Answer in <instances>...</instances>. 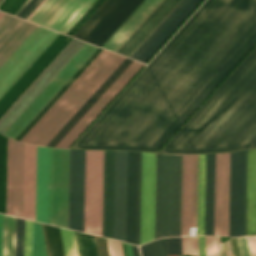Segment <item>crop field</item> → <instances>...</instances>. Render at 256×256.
I'll list each match as a JSON object with an SVG mask.
<instances>
[{"mask_svg": "<svg viewBox=\"0 0 256 256\" xmlns=\"http://www.w3.org/2000/svg\"><path fill=\"white\" fill-rule=\"evenodd\" d=\"M122 245H123V249H124L125 256H128V251H127V246H126V244L122 243Z\"/></svg>", "mask_w": 256, "mask_h": 256, "instance_id": "62", "label": "crop field"}, {"mask_svg": "<svg viewBox=\"0 0 256 256\" xmlns=\"http://www.w3.org/2000/svg\"><path fill=\"white\" fill-rule=\"evenodd\" d=\"M27 0H4L0 10L14 15Z\"/></svg>", "mask_w": 256, "mask_h": 256, "instance_id": "47", "label": "crop field"}, {"mask_svg": "<svg viewBox=\"0 0 256 256\" xmlns=\"http://www.w3.org/2000/svg\"><path fill=\"white\" fill-rule=\"evenodd\" d=\"M132 246V245H131ZM134 256H140L138 247L132 246Z\"/></svg>", "mask_w": 256, "mask_h": 256, "instance_id": "60", "label": "crop field"}, {"mask_svg": "<svg viewBox=\"0 0 256 256\" xmlns=\"http://www.w3.org/2000/svg\"><path fill=\"white\" fill-rule=\"evenodd\" d=\"M32 256H47L42 227L33 223Z\"/></svg>", "mask_w": 256, "mask_h": 256, "instance_id": "40", "label": "crop field"}, {"mask_svg": "<svg viewBox=\"0 0 256 256\" xmlns=\"http://www.w3.org/2000/svg\"><path fill=\"white\" fill-rule=\"evenodd\" d=\"M42 0H30V2L21 10L17 17L26 19L30 13L41 3Z\"/></svg>", "mask_w": 256, "mask_h": 256, "instance_id": "52", "label": "crop field"}, {"mask_svg": "<svg viewBox=\"0 0 256 256\" xmlns=\"http://www.w3.org/2000/svg\"><path fill=\"white\" fill-rule=\"evenodd\" d=\"M169 254H182L181 237L169 238Z\"/></svg>", "mask_w": 256, "mask_h": 256, "instance_id": "53", "label": "crop field"}, {"mask_svg": "<svg viewBox=\"0 0 256 256\" xmlns=\"http://www.w3.org/2000/svg\"><path fill=\"white\" fill-rule=\"evenodd\" d=\"M256 148V47L160 151Z\"/></svg>", "mask_w": 256, "mask_h": 256, "instance_id": "2", "label": "crop field"}, {"mask_svg": "<svg viewBox=\"0 0 256 256\" xmlns=\"http://www.w3.org/2000/svg\"><path fill=\"white\" fill-rule=\"evenodd\" d=\"M51 256H65L60 230L58 227L46 225Z\"/></svg>", "mask_w": 256, "mask_h": 256, "instance_id": "39", "label": "crop field"}, {"mask_svg": "<svg viewBox=\"0 0 256 256\" xmlns=\"http://www.w3.org/2000/svg\"><path fill=\"white\" fill-rule=\"evenodd\" d=\"M256 234V149L248 150L246 235Z\"/></svg>", "mask_w": 256, "mask_h": 256, "instance_id": "29", "label": "crop field"}, {"mask_svg": "<svg viewBox=\"0 0 256 256\" xmlns=\"http://www.w3.org/2000/svg\"><path fill=\"white\" fill-rule=\"evenodd\" d=\"M84 42L73 39L68 46L56 57V59L44 70L33 84L21 95V97L0 118V133L17 118L27 105L38 95L48 82L59 72L69 59L80 49Z\"/></svg>", "mask_w": 256, "mask_h": 256, "instance_id": "9", "label": "crop field"}, {"mask_svg": "<svg viewBox=\"0 0 256 256\" xmlns=\"http://www.w3.org/2000/svg\"><path fill=\"white\" fill-rule=\"evenodd\" d=\"M36 146L25 143L23 218L35 220Z\"/></svg>", "mask_w": 256, "mask_h": 256, "instance_id": "23", "label": "crop field"}, {"mask_svg": "<svg viewBox=\"0 0 256 256\" xmlns=\"http://www.w3.org/2000/svg\"><path fill=\"white\" fill-rule=\"evenodd\" d=\"M46 31L47 29L38 26L33 31V33L22 43V45L10 56V58L0 67V82Z\"/></svg>", "mask_w": 256, "mask_h": 256, "instance_id": "32", "label": "crop field"}, {"mask_svg": "<svg viewBox=\"0 0 256 256\" xmlns=\"http://www.w3.org/2000/svg\"><path fill=\"white\" fill-rule=\"evenodd\" d=\"M247 150L230 153L228 236L245 235Z\"/></svg>", "mask_w": 256, "mask_h": 256, "instance_id": "6", "label": "crop field"}, {"mask_svg": "<svg viewBox=\"0 0 256 256\" xmlns=\"http://www.w3.org/2000/svg\"><path fill=\"white\" fill-rule=\"evenodd\" d=\"M24 143L8 138L6 214L22 218Z\"/></svg>", "mask_w": 256, "mask_h": 256, "instance_id": "12", "label": "crop field"}, {"mask_svg": "<svg viewBox=\"0 0 256 256\" xmlns=\"http://www.w3.org/2000/svg\"><path fill=\"white\" fill-rule=\"evenodd\" d=\"M114 151H104L102 236L112 238Z\"/></svg>", "mask_w": 256, "mask_h": 256, "instance_id": "24", "label": "crop field"}, {"mask_svg": "<svg viewBox=\"0 0 256 256\" xmlns=\"http://www.w3.org/2000/svg\"><path fill=\"white\" fill-rule=\"evenodd\" d=\"M103 151H86L84 232L101 236Z\"/></svg>", "mask_w": 256, "mask_h": 256, "instance_id": "7", "label": "crop field"}, {"mask_svg": "<svg viewBox=\"0 0 256 256\" xmlns=\"http://www.w3.org/2000/svg\"><path fill=\"white\" fill-rule=\"evenodd\" d=\"M74 0H46L29 21L49 28ZM96 0H75L50 29L66 34Z\"/></svg>", "mask_w": 256, "mask_h": 256, "instance_id": "8", "label": "crop field"}, {"mask_svg": "<svg viewBox=\"0 0 256 256\" xmlns=\"http://www.w3.org/2000/svg\"><path fill=\"white\" fill-rule=\"evenodd\" d=\"M101 2V0H97L91 7L90 9L80 18V20L71 28V30L67 33L68 35H70L74 30L75 28L88 16V14ZM91 14V13H90ZM89 14V15H90ZM80 26V25H79ZM78 26V27H79ZM77 27V28H78ZM76 28V29H77Z\"/></svg>", "mask_w": 256, "mask_h": 256, "instance_id": "56", "label": "crop field"}, {"mask_svg": "<svg viewBox=\"0 0 256 256\" xmlns=\"http://www.w3.org/2000/svg\"><path fill=\"white\" fill-rule=\"evenodd\" d=\"M229 153L216 154L214 235L227 236Z\"/></svg>", "mask_w": 256, "mask_h": 256, "instance_id": "16", "label": "crop field"}, {"mask_svg": "<svg viewBox=\"0 0 256 256\" xmlns=\"http://www.w3.org/2000/svg\"><path fill=\"white\" fill-rule=\"evenodd\" d=\"M52 148H49L47 223L50 224Z\"/></svg>", "mask_w": 256, "mask_h": 256, "instance_id": "50", "label": "crop field"}, {"mask_svg": "<svg viewBox=\"0 0 256 256\" xmlns=\"http://www.w3.org/2000/svg\"><path fill=\"white\" fill-rule=\"evenodd\" d=\"M142 66L133 61L56 147L68 148Z\"/></svg>", "mask_w": 256, "mask_h": 256, "instance_id": "15", "label": "crop field"}, {"mask_svg": "<svg viewBox=\"0 0 256 256\" xmlns=\"http://www.w3.org/2000/svg\"><path fill=\"white\" fill-rule=\"evenodd\" d=\"M191 0H186L183 5L172 15V17L161 27V29L150 39V41L133 58L137 60L142 53L153 43V41L164 31V29L175 19V17L187 6Z\"/></svg>", "mask_w": 256, "mask_h": 256, "instance_id": "44", "label": "crop field"}, {"mask_svg": "<svg viewBox=\"0 0 256 256\" xmlns=\"http://www.w3.org/2000/svg\"><path fill=\"white\" fill-rule=\"evenodd\" d=\"M3 15H4V13H1V12H0V18H1Z\"/></svg>", "mask_w": 256, "mask_h": 256, "instance_id": "65", "label": "crop field"}, {"mask_svg": "<svg viewBox=\"0 0 256 256\" xmlns=\"http://www.w3.org/2000/svg\"><path fill=\"white\" fill-rule=\"evenodd\" d=\"M182 155L157 154L155 239L180 235Z\"/></svg>", "mask_w": 256, "mask_h": 256, "instance_id": "4", "label": "crop field"}, {"mask_svg": "<svg viewBox=\"0 0 256 256\" xmlns=\"http://www.w3.org/2000/svg\"><path fill=\"white\" fill-rule=\"evenodd\" d=\"M102 51L98 48L94 54L83 64V66L73 75V77L62 87V89L52 98V100L41 110V112L31 121V123L16 138L21 140L22 137L33 127V125L43 116V114L54 104V102L65 92V90L75 81V79L86 69V67L97 57Z\"/></svg>", "mask_w": 256, "mask_h": 256, "instance_id": "35", "label": "crop field"}, {"mask_svg": "<svg viewBox=\"0 0 256 256\" xmlns=\"http://www.w3.org/2000/svg\"><path fill=\"white\" fill-rule=\"evenodd\" d=\"M48 148L37 146L36 220L46 223Z\"/></svg>", "mask_w": 256, "mask_h": 256, "instance_id": "27", "label": "crop field"}, {"mask_svg": "<svg viewBox=\"0 0 256 256\" xmlns=\"http://www.w3.org/2000/svg\"><path fill=\"white\" fill-rule=\"evenodd\" d=\"M160 1L161 0H144L106 41L102 48L115 52Z\"/></svg>", "mask_w": 256, "mask_h": 256, "instance_id": "21", "label": "crop field"}, {"mask_svg": "<svg viewBox=\"0 0 256 256\" xmlns=\"http://www.w3.org/2000/svg\"><path fill=\"white\" fill-rule=\"evenodd\" d=\"M25 220L17 218L16 256H24Z\"/></svg>", "mask_w": 256, "mask_h": 256, "instance_id": "43", "label": "crop field"}, {"mask_svg": "<svg viewBox=\"0 0 256 256\" xmlns=\"http://www.w3.org/2000/svg\"><path fill=\"white\" fill-rule=\"evenodd\" d=\"M185 0H182L174 10L164 19V21L154 30V32L145 40V42L135 51V53L131 56L133 58L138 51L149 41V39L160 29V27L171 17V15L182 5Z\"/></svg>", "mask_w": 256, "mask_h": 256, "instance_id": "55", "label": "crop field"}, {"mask_svg": "<svg viewBox=\"0 0 256 256\" xmlns=\"http://www.w3.org/2000/svg\"><path fill=\"white\" fill-rule=\"evenodd\" d=\"M248 238H249L252 254H253V256H256L254 246H253V242H252V238H253L254 245H255V248H256V236H254L252 238L251 237H248ZM236 240H237V238H236ZM238 240H239V244H240V248H241L243 256H251L246 238L242 237V238H238ZM238 240H237V244H238ZM239 244H238V247H239ZM241 251H240V256H242Z\"/></svg>", "mask_w": 256, "mask_h": 256, "instance_id": "48", "label": "crop field"}, {"mask_svg": "<svg viewBox=\"0 0 256 256\" xmlns=\"http://www.w3.org/2000/svg\"><path fill=\"white\" fill-rule=\"evenodd\" d=\"M70 37L59 34L25 73L14 83V85L0 99V115L45 67V65L66 44Z\"/></svg>", "mask_w": 256, "mask_h": 256, "instance_id": "18", "label": "crop field"}, {"mask_svg": "<svg viewBox=\"0 0 256 256\" xmlns=\"http://www.w3.org/2000/svg\"><path fill=\"white\" fill-rule=\"evenodd\" d=\"M69 150L53 148L51 224L67 228Z\"/></svg>", "mask_w": 256, "mask_h": 256, "instance_id": "11", "label": "crop field"}, {"mask_svg": "<svg viewBox=\"0 0 256 256\" xmlns=\"http://www.w3.org/2000/svg\"><path fill=\"white\" fill-rule=\"evenodd\" d=\"M61 235L63 239L66 256H78L74 233L71 230L62 229Z\"/></svg>", "mask_w": 256, "mask_h": 256, "instance_id": "41", "label": "crop field"}, {"mask_svg": "<svg viewBox=\"0 0 256 256\" xmlns=\"http://www.w3.org/2000/svg\"><path fill=\"white\" fill-rule=\"evenodd\" d=\"M96 49L85 43L3 134L15 139Z\"/></svg>", "mask_w": 256, "mask_h": 256, "instance_id": "5", "label": "crop field"}, {"mask_svg": "<svg viewBox=\"0 0 256 256\" xmlns=\"http://www.w3.org/2000/svg\"><path fill=\"white\" fill-rule=\"evenodd\" d=\"M29 1V0H28ZM28 1L19 9V11L28 3ZM18 11V12H19ZM18 12L15 14V16L18 14Z\"/></svg>", "mask_w": 256, "mask_h": 256, "instance_id": "64", "label": "crop field"}, {"mask_svg": "<svg viewBox=\"0 0 256 256\" xmlns=\"http://www.w3.org/2000/svg\"><path fill=\"white\" fill-rule=\"evenodd\" d=\"M127 246H128L129 255H130V256H133V254H132V250H131V246H130V245H128V244H127Z\"/></svg>", "mask_w": 256, "mask_h": 256, "instance_id": "63", "label": "crop field"}, {"mask_svg": "<svg viewBox=\"0 0 256 256\" xmlns=\"http://www.w3.org/2000/svg\"><path fill=\"white\" fill-rule=\"evenodd\" d=\"M200 1L201 0H192L138 60L145 63L149 57L159 48V46L168 38V36L178 27V25L188 16V14L198 5Z\"/></svg>", "mask_w": 256, "mask_h": 256, "instance_id": "33", "label": "crop field"}, {"mask_svg": "<svg viewBox=\"0 0 256 256\" xmlns=\"http://www.w3.org/2000/svg\"><path fill=\"white\" fill-rule=\"evenodd\" d=\"M142 0H123L102 24L86 40L91 44L101 47L107 38L129 16Z\"/></svg>", "mask_w": 256, "mask_h": 256, "instance_id": "22", "label": "crop field"}, {"mask_svg": "<svg viewBox=\"0 0 256 256\" xmlns=\"http://www.w3.org/2000/svg\"><path fill=\"white\" fill-rule=\"evenodd\" d=\"M224 245H225V243H224ZM223 245H222V247H221V256H224V253H225V256H227V254H226V245H225V248H224V253H223Z\"/></svg>", "mask_w": 256, "mask_h": 256, "instance_id": "61", "label": "crop field"}, {"mask_svg": "<svg viewBox=\"0 0 256 256\" xmlns=\"http://www.w3.org/2000/svg\"><path fill=\"white\" fill-rule=\"evenodd\" d=\"M147 245L151 256H167L168 254V238H160Z\"/></svg>", "mask_w": 256, "mask_h": 256, "instance_id": "42", "label": "crop field"}, {"mask_svg": "<svg viewBox=\"0 0 256 256\" xmlns=\"http://www.w3.org/2000/svg\"><path fill=\"white\" fill-rule=\"evenodd\" d=\"M107 241H108L110 256H124L122 245L120 242L109 240V239H107Z\"/></svg>", "mask_w": 256, "mask_h": 256, "instance_id": "54", "label": "crop field"}, {"mask_svg": "<svg viewBox=\"0 0 256 256\" xmlns=\"http://www.w3.org/2000/svg\"><path fill=\"white\" fill-rule=\"evenodd\" d=\"M37 27L5 14L0 19V66Z\"/></svg>", "mask_w": 256, "mask_h": 256, "instance_id": "19", "label": "crop field"}, {"mask_svg": "<svg viewBox=\"0 0 256 256\" xmlns=\"http://www.w3.org/2000/svg\"><path fill=\"white\" fill-rule=\"evenodd\" d=\"M122 0H105L73 37L85 41Z\"/></svg>", "mask_w": 256, "mask_h": 256, "instance_id": "30", "label": "crop field"}, {"mask_svg": "<svg viewBox=\"0 0 256 256\" xmlns=\"http://www.w3.org/2000/svg\"><path fill=\"white\" fill-rule=\"evenodd\" d=\"M16 218L4 215L3 255L15 256Z\"/></svg>", "mask_w": 256, "mask_h": 256, "instance_id": "36", "label": "crop field"}, {"mask_svg": "<svg viewBox=\"0 0 256 256\" xmlns=\"http://www.w3.org/2000/svg\"><path fill=\"white\" fill-rule=\"evenodd\" d=\"M207 256H219V237L206 236Z\"/></svg>", "mask_w": 256, "mask_h": 256, "instance_id": "49", "label": "crop field"}, {"mask_svg": "<svg viewBox=\"0 0 256 256\" xmlns=\"http://www.w3.org/2000/svg\"><path fill=\"white\" fill-rule=\"evenodd\" d=\"M156 154L142 152L140 244L154 239Z\"/></svg>", "mask_w": 256, "mask_h": 256, "instance_id": "10", "label": "crop field"}, {"mask_svg": "<svg viewBox=\"0 0 256 256\" xmlns=\"http://www.w3.org/2000/svg\"><path fill=\"white\" fill-rule=\"evenodd\" d=\"M141 152H138L136 244L139 245Z\"/></svg>", "mask_w": 256, "mask_h": 256, "instance_id": "45", "label": "crop field"}, {"mask_svg": "<svg viewBox=\"0 0 256 256\" xmlns=\"http://www.w3.org/2000/svg\"><path fill=\"white\" fill-rule=\"evenodd\" d=\"M183 254L198 256L197 237H182Z\"/></svg>", "mask_w": 256, "mask_h": 256, "instance_id": "46", "label": "crop field"}, {"mask_svg": "<svg viewBox=\"0 0 256 256\" xmlns=\"http://www.w3.org/2000/svg\"><path fill=\"white\" fill-rule=\"evenodd\" d=\"M127 152L115 151L113 238L125 241Z\"/></svg>", "mask_w": 256, "mask_h": 256, "instance_id": "17", "label": "crop field"}, {"mask_svg": "<svg viewBox=\"0 0 256 256\" xmlns=\"http://www.w3.org/2000/svg\"><path fill=\"white\" fill-rule=\"evenodd\" d=\"M198 155H183L181 235L196 227Z\"/></svg>", "mask_w": 256, "mask_h": 256, "instance_id": "14", "label": "crop field"}, {"mask_svg": "<svg viewBox=\"0 0 256 256\" xmlns=\"http://www.w3.org/2000/svg\"><path fill=\"white\" fill-rule=\"evenodd\" d=\"M140 251H141L142 256H150V253H149V250H148L146 244H145V245H142V246L140 247Z\"/></svg>", "mask_w": 256, "mask_h": 256, "instance_id": "59", "label": "crop field"}, {"mask_svg": "<svg viewBox=\"0 0 256 256\" xmlns=\"http://www.w3.org/2000/svg\"><path fill=\"white\" fill-rule=\"evenodd\" d=\"M7 138L0 135V212L5 214Z\"/></svg>", "mask_w": 256, "mask_h": 256, "instance_id": "37", "label": "crop field"}, {"mask_svg": "<svg viewBox=\"0 0 256 256\" xmlns=\"http://www.w3.org/2000/svg\"><path fill=\"white\" fill-rule=\"evenodd\" d=\"M74 233L79 256H98L93 236L75 231Z\"/></svg>", "mask_w": 256, "mask_h": 256, "instance_id": "38", "label": "crop field"}, {"mask_svg": "<svg viewBox=\"0 0 256 256\" xmlns=\"http://www.w3.org/2000/svg\"><path fill=\"white\" fill-rule=\"evenodd\" d=\"M256 44V0H207L73 148L157 152Z\"/></svg>", "mask_w": 256, "mask_h": 256, "instance_id": "1", "label": "crop field"}, {"mask_svg": "<svg viewBox=\"0 0 256 256\" xmlns=\"http://www.w3.org/2000/svg\"><path fill=\"white\" fill-rule=\"evenodd\" d=\"M206 155H199L197 235L204 234Z\"/></svg>", "mask_w": 256, "mask_h": 256, "instance_id": "34", "label": "crop field"}, {"mask_svg": "<svg viewBox=\"0 0 256 256\" xmlns=\"http://www.w3.org/2000/svg\"><path fill=\"white\" fill-rule=\"evenodd\" d=\"M58 33L48 30L24 58L0 83V98L13 85V83L24 73L44 49L54 40Z\"/></svg>", "mask_w": 256, "mask_h": 256, "instance_id": "26", "label": "crop field"}, {"mask_svg": "<svg viewBox=\"0 0 256 256\" xmlns=\"http://www.w3.org/2000/svg\"><path fill=\"white\" fill-rule=\"evenodd\" d=\"M199 256H206L205 236L198 237Z\"/></svg>", "mask_w": 256, "mask_h": 256, "instance_id": "57", "label": "crop field"}, {"mask_svg": "<svg viewBox=\"0 0 256 256\" xmlns=\"http://www.w3.org/2000/svg\"><path fill=\"white\" fill-rule=\"evenodd\" d=\"M215 154L207 155L205 234L213 235Z\"/></svg>", "mask_w": 256, "mask_h": 256, "instance_id": "31", "label": "crop field"}, {"mask_svg": "<svg viewBox=\"0 0 256 256\" xmlns=\"http://www.w3.org/2000/svg\"><path fill=\"white\" fill-rule=\"evenodd\" d=\"M85 151L70 150L68 228L83 232Z\"/></svg>", "mask_w": 256, "mask_h": 256, "instance_id": "13", "label": "crop field"}, {"mask_svg": "<svg viewBox=\"0 0 256 256\" xmlns=\"http://www.w3.org/2000/svg\"><path fill=\"white\" fill-rule=\"evenodd\" d=\"M132 60L126 58L122 64L112 73V75L102 84V86L92 95V97L81 107V109L71 118V120L61 129V131L47 145L55 147L58 142L69 132V130L79 121V119L89 110L98 98L108 89V87L118 78V76L128 67Z\"/></svg>", "mask_w": 256, "mask_h": 256, "instance_id": "28", "label": "crop field"}, {"mask_svg": "<svg viewBox=\"0 0 256 256\" xmlns=\"http://www.w3.org/2000/svg\"><path fill=\"white\" fill-rule=\"evenodd\" d=\"M124 59L103 50L21 141L46 146Z\"/></svg>", "mask_w": 256, "mask_h": 256, "instance_id": "3", "label": "crop field"}, {"mask_svg": "<svg viewBox=\"0 0 256 256\" xmlns=\"http://www.w3.org/2000/svg\"><path fill=\"white\" fill-rule=\"evenodd\" d=\"M31 245H32V222L26 220L25 256H31Z\"/></svg>", "mask_w": 256, "mask_h": 256, "instance_id": "51", "label": "crop field"}, {"mask_svg": "<svg viewBox=\"0 0 256 256\" xmlns=\"http://www.w3.org/2000/svg\"><path fill=\"white\" fill-rule=\"evenodd\" d=\"M137 152H128L126 241L135 244Z\"/></svg>", "mask_w": 256, "mask_h": 256, "instance_id": "25", "label": "crop field"}, {"mask_svg": "<svg viewBox=\"0 0 256 256\" xmlns=\"http://www.w3.org/2000/svg\"><path fill=\"white\" fill-rule=\"evenodd\" d=\"M2 228H3V215L0 214V256L2 254Z\"/></svg>", "mask_w": 256, "mask_h": 256, "instance_id": "58", "label": "crop field"}, {"mask_svg": "<svg viewBox=\"0 0 256 256\" xmlns=\"http://www.w3.org/2000/svg\"><path fill=\"white\" fill-rule=\"evenodd\" d=\"M181 0H162L116 53L130 57Z\"/></svg>", "mask_w": 256, "mask_h": 256, "instance_id": "20", "label": "crop field"}]
</instances>
